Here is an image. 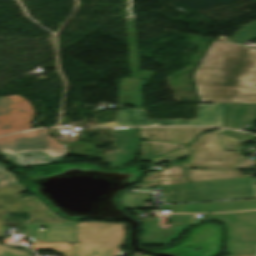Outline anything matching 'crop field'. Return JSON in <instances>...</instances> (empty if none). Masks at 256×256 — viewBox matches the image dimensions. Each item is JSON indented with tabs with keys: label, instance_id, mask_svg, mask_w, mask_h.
I'll use <instances>...</instances> for the list:
<instances>
[{
	"label": "crop field",
	"instance_id": "obj_1",
	"mask_svg": "<svg viewBox=\"0 0 256 256\" xmlns=\"http://www.w3.org/2000/svg\"><path fill=\"white\" fill-rule=\"evenodd\" d=\"M12 185V184H11ZM26 189L20 183L0 189V238L7 214L3 211H29L25 223L30 242H125V224L76 223L58 218L36 196L21 199ZM40 217V218H39ZM45 226L48 229L41 230Z\"/></svg>",
	"mask_w": 256,
	"mask_h": 256
},
{
	"label": "crop field",
	"instance_id": "obj_2",
	"mask_svg": "<svg viewBox=\"0 0 256 256\" xmlns=\"http://www.w3.org/2000/svg\"><path fill=\"white\" fill-rule=\"evenodd\" d=\"M196 81L202 102L256 103V49L215 41Z\"/></svg>",
	"mask_w": 256,
	"mask_h": 256
},
{
	"label": "crop field",
	"instance_id": "obj_3",
	"mask_svg": "<svg viewBox=\"0 0 256 256\" xmlns=\"http://www.w3.org/2000/svg\"><path fill=\"white\" fill-rule=\"evenodd\" d=\"M219 137L225 149L238 150V152L194 151L189 163L184 164V166L185 168L229 170H185L188 176V178H185L182 166L178 165L144 178L142 181L146 183H140L133 188L188 183L187 180L192 183L254 176L242 175L238 170H232L245 158L239 155L243 141L235 140L220 134Z\"/></svg>",
	"mask_w": 256,
	"mask_h": 256
},
{
	"label": "crop field",
	"instance_id": "obj_4",
	"mask_svg": "<svg viewBox=\"0 0 256 256\" xmlns=\"http://www.w3.org/2000/svg\"><path fill=\"white\" fill-rule=\"evenodd\" d=\"M163 197L165 203L249 198L256 197V185L253 178L169 185Z\"/></svg>",
	"mask_w": 256,
	"mask_h": 256
},
{
	"label": "crop field",
	"instance_id": "obj_5",
	"mask_svg": "<svg viewBox=\"0 0 256 256\" xmlns=\"http://www.w3.org/2000/svg\"><path fill=\"white\" fill-rule=\"evenodd\" d=\"M67 151L47 135L46 129L0 138V153L19 165L60 161Z\"/></svg>",
	"mask_w": 256,
	"mask_h": 256
},
{
	"label": "crop field",
	"instance_id": "obj_6",
	"mask_svg": "<svg viewBox=\"0 0 256 256\" xmlns=\"http://www.w3.org/2000/svg\"><path fill=\"white\" fill-rule=\"evenodd\" d=\"M206 221L224 224L229 256L256 255V211L206 215Z\"/></svg>",
	"mask_w": 256,
	"mask_h": 256
},
{
	"label": "crop field",
	"instance_id": "obj_7",
	"mask_svg": "<svg viewBox=\"0 0 256 256\" xmlns=\"http://www.w3.org/2000/svg\"><path fill=\"white\" fill-rule=\"evenodd\" d=\"M231 103H215V105L199 104L196 120H147L143 109H122L117 111L115 123L100 124L96 126H222Z\"/></svg>",
	"mask_w": 256,
	"mask_h": 256
},
{
	"label": "crop field",
	"instance_id": "obj_8",
	"mask_svg": "<svg viewBox=\"0 0 256 256\" xmlns=\"http://www.w3.org/2000/svg\"><path fill=\"white\" fill-rule=\"evenodd\" d=\"M34 116L31 104L19 96L0 97V135L29 129Z\"/></svg>",
	"mask_w": 256,
	"mask_h": 256
},
{
	"label": "crop field",
	"instance_id": "obj_9",
	"mask_svg": "<svg viewBox=\"0 0 256 256\" xmlns=\"http://www.w3.org/2000/svg\"><path fill=\"white\" fill-rule=\"evenodd\" d=\"M112 146L118 151L106 152L102 163H112L110 169L122 167L131 161L139 145V137L134 128L111 129Z\"/></svg>",
	"mask_w": 256,
	"mask_h": 256
},
{
	"label": "crop field",
	"instance_id": "obj_10",
	"mask_svg": "<svg viewBox=\"0 0 256 256\" xmlns=\"http://www.w3.org/2000/svg\"><path fill=\"white\" fill-rule=\"evenodd\" d=\"M255 208L256 200L219 203L174 204L162 206V210H172V213L225 212Z\"/></svg>",
	"mask_w": 256,
	"mask_h": 256
},
{
	"label": "crop field",
	"instance_id": "obj_11",
	"mask_svg": "<svg viewBox=\"0 0 256 256\" xmlns=\"http://www.w3.org/2000/svg\"><path fill=\"white\" fill-rule=\"evenodd\" d=\"M124 243H71L73 256H123L120 251Z\"/></svg>",
	"mask_w": 256,
	"mask_h": 256
},
{
	"label": "crop field",
	"instance_id": "obj_12",
	"mask_svg": "<svg viewBox=\"0 0 256 256\" xmlns=\"http://www.w3.org/2000/svg\"><path fill=\"white\" fill-rule=\"evenodd\" d=\"M256 121V104H233L224 127L239 129Z\"/></svg>",
	"mask_w": 256,
	"mask_h": 256
},
{
	"label": "crop field",
	"instance_id": "obj_13",
	"mask_svg": "<svg viewBox=\"0 0 256 256\" xmlns=\"http://www.w3.org/2000/svg\"><path fill=\"white\" fill-rule=\"evenodd\" d=\"M217 130L209 134H204L196 137L195 141L187 148L189 150H212V151H224L221 141L217 133L223 131Z\"/></svg>",
	"mask_w": 256,
	"mask_h": 256
},
{
	"label": "crop field",
	"instance_id": "obj_14",
	"mask_svg": "<svg viewBox=\"0 0 256 256\" xmlns=\"http://www.w3.org/2000/svg\"><path fill=\"white\" fill-rule=\"evenodd\" d=\"M141 148V161H145L147 159H151L178 149L176 144L153 141L141 142Z\"/></svg>",
	"mask_w": 256,
	"mask_h": 256
},
{
	"label": "crop field",
	"instance_id": "obj_15",
	"mask_svg": "<svg viewBox=\"0 0 256 256\" xmlns=\"http://www.w3.org/2000/svg\"><path fill=\"white\" fill-rule=\"evenodd\" d=\"M193 218V215H173L169 221L175 222L174 228L165 230L162 244H170L179 233L187 228Z\"/></svg>",
	"mask_w": 256,
	"mask_h": 256
},
{
	"label": "crop field",
	"instance_id": "obj_16",
	"mask_svg": "<svg viewBox=\"0 0 256 256\" xmlns=\"http://www.w3.org/2000/svg\"><path fill=\"white\" fill-rule=\"evenodd\" d=\"M139 136L147 140L163 141L174 143L172 133L169 128H137ZM160 130V131H157ZM154 135L150 138L149 135Z\"/></svg>",
	"mask_w": 256,
	"mask_h": 256
},
{
	"label": "crop field",
	"instance_id": "obj_17",
	"mask_svg": "<svg viewBox=\"0 0 256 256\" xmlns=\"http://www.w3.org/2000/svg\"><path fill=\"white\" fill-rule=\"evenodd\" d=\"M177 143L188 145L200 132L215 128H172Z\"/></svg>",
	"mask_w": 256,
	"mask_h": 256
},
{
	"label": "crop field",
	"instance_id": "obj_18",
	"mask_svg": "<svg viewBox=\"0 0 256 256\" xmlns=\"http://www.w3.org/2000/svg\"><path fill=\"white\" fill-rule=\"evenodd\" d=\"M151 193L148 192H136L135 194H124L122 196L123 206H129L130 208H143L142 203L144 199H148ZM139 204V206H137Z\"/></svg>",
	"mask_w": 256,
	"mask_h": 256
},
{
	"label": "crop field",
	"instance_id": "obj_19",
	"mask_svg": "<svg viewBox=\"0 0 256 256\" xmlns=\"http://www.w3.org/2000/svg\"><path fill=\"white\" fill-rule=\"evenodd\" d=\"M13 173H9L4 169L3 165L0 164V188L17 183Z\"/></svg>",
	"mask_w": 256,
	"mask_h": 256
},
{
	"label": "crop field",
	"instance_id": "obj_20",
	"mask_svg": "<svg viewBox=\"0 0 256 256\" xmlns=\"http://www.w3.org/2000/svg\"><path fill=\"white\" fill-rule=\"evenodd\" d=\"M256 38V32L239 30L229 41L244 44L245 40H253Z\"/></svg>",
	"mask_w": 256,
	"mask_h": 256
},
{
	"label": "crop field",
	"instance_id": "obj_21",
	"mask_svg": "<svg viewBox=\"0 0 256 256\" xmlns=\"http://www.w3.org/2000/svg\"><path fill=\"white\" fill-rule=\"evenodd\" d=\"M187 153H188V151H186L183 148L181 150H177V151H174V152L168 153L166 155H163V156L151 159V160H147V161H150V162L153 163V165H150V166H154V165H157V164L162 163L164 161L170 160L169 157H172V159H173V158L179 157V156L187 154Z\"/></svg>",
	"mask_w": 256,
	"mask_h": 256
},
{
	"label": "crop field",
	"instance_id": "obj_22",
	"mask_svg": "<svg viewBox=\"0 0 256 256\" xmlns=\"http://www.w3.org/2000/svg\"><path fill=\"white\" fill-rule=\"evenodd\" d=\"M220 134H224V135H227L229 137L236 138V139H239V140H243V141H246V142L256 141V136L251 135V134H249V136H246L245 133L229 131V130H225V131L221 132ZM248 138H250V139H248Z\"/></svg>",
	"mask_w": 256,
	"mask_h": 256
},
{
	"label": "crop field",
	"instance_id": "obj_23",
	"mask_svg": "<svg viewBox=\"0 0 256 256\" xmlns=\"http://www.w3.org/2000/svg\"><path fill=\"white\" fill-rule=\"evenodd\" d=\"M0 256H32V255L27 251H19V250L0 246Z\"/></svg>",
	"mask_w": 256,
	"mask_h": 256
},
{
	"label": "crop field",
	"instance_id": "obj_24",
	"mask_svg": "<svg viewBox=\"0 0 256 256\" xmlns=\"http://www.w3.org/2000/svg\"><path fill=\"white\" fill-rule=\"evenodd\" d=\"M255 165L256 160L244 159L236 168L252 169Z\"/></svg>",
	"mask_w": 256,
	"mask_h": 256
},
{
	"label": "crop field",
	"instance_id": "obj_25",
	"mask_svg": "<svg viewBox=\"0 0 256 256\" xmlns=\"http://www.w3.org/2000/svg\"><path fill=\"white\" fill-rule=\"evenodd\" d=\"M241 29L250 30V31H256V22L252 21L251 24L244 25Z\"/></svg>",
	"mask_w": 256,
	"mask_h": 256
},
{
	"label": "crop field",
	"instance_id": "obj_26",
	"mask_svg": "<svg viewBox=\"0 0 256 256\" xmlns=\"http://www.w3.org/2000/svg\"><path fill=\"white\" fill-rule=\"evenodd\" d=\"M212 44H213V43H212ZM211 46H212V45H211ZM211 46H210V48H211ZM210 48H209L208 51L206 52V54H205V56H204L202 62H201L199 65H202V63H203V61L205 60V58H206V56H207V54H208ZM199 65H198V66H199ZM197 74H198V67H197L196 72H195V74H194V80H195V77H196ZM195 84H196V87H197V82H196V81H195Z\"/></svg>",
	"mask_w": 256,
	"mask_h": 256
}]
</instances>
